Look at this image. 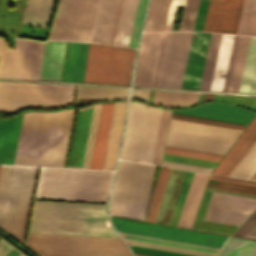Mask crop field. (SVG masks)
I'll return each mask as SVG.
<instances>
[{
    "mask_svg": "<svg viewBox=\"0 0 256 256\" xmlns=\"http://www.w3.org/2000/svg\"><path fill=\"white\" fill-rule=\"evenodd\" d=\"M73 111L25 113L14 164L63 167Z\"/></svg>",
    "mask_w": 256,
    "mask_h": 256,
    "instance_id": "8a807250",
    "label": "crop field"
},
{
    "mask_svg": "<svg viewBox=\"0 0 256 256\" xmlns=\"http://www.w3.org/2000/svg\"><path fill=\"white\" fill-rule=\"evenodd\" d=\"M29 232L119 237L105 205L35 201Z\"/></svg>",
    "mask_w": 256,
    "mask_h": 256,
    "instance_id": "ac0d7876",
    "label": "crop field"
},
{
    "mask_svg": "<svg viewBox=\"0 0 256 256\" xmlns=\"http://www.w3.org/2000/svg\"><path fill=\"white\" fill-rule=\"evenodd\" d=\"M112 175L111 172L44 168L36 198L106 202Z\"/></svg>",
    "mask_w": 256,
    "mask_h": 256,
    "instance_id": "34b2d1b8",
    "label": "crop field"
},
{
    "mask_svg": "<svg viewBox=\"0 0 256 256\" xmlns=\"http://www.w3.org/2000/svg\"><path fill=\"white\" fill-rule=\"evenodd\" d=\"M36 173V168L11 166H3L2 168L0 178V226L22 242Z\"/></svg>",
    "mask_w": 256,
    "mask_h": 256,
    "instance_id": "412701ff",
    "label": "crop field"
},
{
    "mask_svg": "<svg viewBox=\"0 0 256 256\" xmlns=\"http://www.w3.org/2000/svg\"><path fill=\"white\" fill-rule=\"evenodd\" d=\"M156 166L120 160L110 213L144 220Z\"/></svg>",
    "mask_w": 256,
    "mask_h": 256,
    "instance_id": "f4fd0767",
    "label": "crop field"
},
{
    "mask_svg": "<svg viewBox=\"0 0 256 256\" xmlns=\"http://www.w3.org/2000/svg\"><path fill=\"white\" fill-rule=\"evenodd\" d=\"M27 243L47 255L132 256L121 238L29 233Z\"/></svg>",
    "mask_w": 256,
    "mask_h": 256,
    "instance_id": "dd49c442",
    "label": "crop field"
},
{
    "mask_svg": "<svg viewBox=\"0 0 256 256\" xmlns=\"http://www.w3.org/2000/svg\"><path fill=\"white\" fill-rule=\"evenodd\" d=\"M74 87L0 82V110L56 109L73 104Z\"/></svg>",
    "mask_w": 256,
    "mask_h": 256,
    "instance_id": "e52e79f7",
    "label": "crop field"
},
{
    "mask_svg": "<svg viewBox=\"0 0 256 256\" xmlns=\"http://www.w3.org/2000/svg\"><path fill=\"white\" fill-rule=\"evenodd\" d=\"M134 49L90 43L84 82L129 83Z\"/></svg>",
    "mask_w": 256,
    "mask_h": 256,
    "instance_id": "d8731c3e",
    "label": "crop field"
},
{
    "mask_svg": "<svg viewBox=\"0 0 256 256\" xmlns=\"http://www.w3.org/2000/svg\"><path fill=\"white\" fill-rule=\"evenodd\" d=\"M99 0H60L49 39L89 42Z\"/></svg>",
    "mask_w": 256,
    "mask_h": 256,
    "instance_id": "5a996713",
    "label": "crop field"
},
{
    "mask_svg": "<svg viewBox=\"0 0 256 256\" xmlns=\"http://www.w3.org/2000/svg\"><path fill=\"white\" fill-rule=\"evenodd\" d=\"M239 38L212 33L199 89L227 91Z\"/></svg>",
    "mask_w": 256,
    "mask_h": 256,
    "instance_id": "3316defc",
    "label": "crop field"
},
{
    "mask_svg": "<svg viewBox=\"0 0 256 256\" xmlns=\"http://www.w3.org/2000/svg\"><path fill=\"white\" fill-rule=\"evenodd\" d=\"M44 42L16 41L15 52L10 50L4 38L0 37V77L38 79Z\"/></svg>",
    "mask_w": 256,
    "mask_h": 256,
    "instance_id": "28ad6ade",
    "label": "crop field"
},
{
    "mask_svg": "<svg viewBox=\"0 0 256 256\" xmlns=\"http://www.w3.org/2000/svg\"><path fill=\"white\" fill-rule=\"evenodd\" d=\"M117 231L222 248L228 237L113 218Z\"/></svg>",
    "mask_w": 256,
    "mask_h": 256,
    "instance_id": "d1516ede",
    "label": "crop field"
},
{
    "mask_svg": "<svg viewBox=\"0 0 256 256\" xmlns=\"http://www.w3.org/2000/svg\"><path fill=\"white\" fill-rule=\"evenodd\" d=\"M192 33L169 32L156 87L180 88Z\"/></svg>",
    "mask_w": 256,
    "mask_h": 256,
    "instance_id": "22f410ed",
    "label": "crop field"
},
{
    "mask_svg": "<svg viewBox=\"0 0 256 256\" xmlns=\"http://www.w3.org/2000/svg\"><path fill=\"white\" fill-rule=\"evenodd\" d=\"M100 106L79 109L68 167L88 169Z\"/></svg>",
    "mask_w": 256,
    "mask_h": 256,
    "instance_id": "cbeb9de0",
    "label": "crop field"
},
{
    "mask_svg": "<svg viewBox=\"0 0 256 256\" xmlns=\"http://www.w3.org/2000/svg\"><path fill=\"white\" fill-rule=\"evenodd\" d=\"M168 32L144 33L134 84L155 87Z\"/></svg>",
    "mask_w": 256,
    "mask_h": 256,
    "instance_id": "5142ce71",
    "label": "crop field"
},
{
    "mask_svg": "<svg viewBox=\"0 0 256 256\" xmlns=\"http://www.w3.org/2000/svg\"><path fill=\"white\" fill-rule=\"evenodd\" d=\"M256 207V200L212 193L204 218L239 225Z\"/></svg>",
    "mask_w": 256,
    "mask_h": 256,
    "instance_id": "d9b57169",
    "label": "crop field"
},
{
    "mask_svg": "<svg viewBox=\"0 0 256 256\" xmlns=\"http://www.w3.org/2000/svg\"><path fill=\"white\" fill-rule=\"evenodd\" d=\"M149 106L131 102L120 158L138 161Z\"/></svg>",
    "mask_w": 256,
    "mask_h": 256,
    "instance_id": "733c2abd",
    "label": "crop field"
},
{
    "mask_svg": "<svg viewBox=\"0 0 256 256\" xmlns=\"http://www.w3.org/2000/svg\"><path fill=\"white\" fill-rule=\"evenodd\" d=\"M210 35L194 31L181 88L198 89Z\"/></svg>",
    "mask_w": 256,
    "mask_h": 256,
    "instance_id": "4a817a6b",
    "label": "crop field"
},
{
    "mask_svg": "<svg viewBox=\"0 0 256 256\" xmlns=\"http://www.w3.org/2000/svg\"><path fill=\"white\" fill-rule=\"evenodd\" d=\"M233 142L232 140L169 130L167 145L224 155Z\"/></svg>",
    "mask_w": 256,
    "mask_h": 256,
    "instance_id": "bc2a9ffb",
    "label": "crop field"
},
{
    "mask_svg": "<svg viewBox=\"0 0 256 256\" xmlns=\"http://www.w3.org/2000/svg\"><path fill=\"white\" fill-rule=\"evenodd\" d=\"M121 236L126 240L128 244L156 248V249H163L181 253H188L200 256H217L220 249L176 242V241H169L127 233H121ZM183 248V249H181Z\"/></svg>",
    "mask_w": 256,
    "mask_h": 256,
    "instance_id": "214f88e0",
    "label": "crop field"
},
{
    "mask_svg": "<svg viewBox=\"0 0 256 256\" xmlns=\"http://www.w3.org/2000/svg\"><path fill=\"white\" fill-rule=\"evenodd\" d=\"M173 112L245 125H248L255 115V112L220 103H208L193 109Z\"/></svg>",
    "mask_w": 256,
    "mask_h": 256,
    "instance_id": "92a150f3",
    "label": "crop field"
},
{
    "mask_svg": "<svg viewBox=\"0 0 256 256\" xmlns=\"http://www.w3.org/2000/svg\"><path fill=\"white\" fill-rule=\"evenodd\" d=\"M209 176L208 174L194 173L177 226L193 227Z\"/></svg>",
    "mask_w": 256,
    "mask_h": 256,
    "instance_id": "dafd665d",
    "label": "crop field"
},
{
    "mask_svg": "<svg viewBox=\"0 0 256 256\" xmlns=\"http://www.w3.org/2000/svg\"><path fill=\"white\" fill-rule=\"evenodd\" d=\"M170 0H151L145 31H163ZM185 0H171L164 31L171 30L176 6H184Z\"/></svg>",
    "mask_w": 256,
    "mask_h": 256,
    "instance_id": "00972430",
    "label": "crop field"
},
{
    "mask_svg": "<svg viewBox=\"0 0 256 256\" xmlns=\"http://www.w3.org/2000/svg\"><path fill=\"white\" fill-rule=\"evenodd\" d=\"M127 104L115 103L102 169L114 168Z\"/></svg>",
    "mask_w": 256,
    "mask_h": 256,
    "instance_id": "a9b5d70f",
    "label": "crop field"
},
{
    "mask_svg": "<svg viewBox=\"0 0 256 256\" xmlns=\"http://www.w3.org/2000/svg\"><path fill=\"white\" fill-rule=\"evenodd\" d=\"M22 117L10 121L0 120V163L14 162Z\"/></svg>",
    "mask_w": 256,
    "mask_h": 256,
    "instance_id": "4177f3b9",
    "label": "crop field"
},
{
    "mask_svg": "<svg viewBox=\"0 0 256 256\" xmlns=\"http://www.w3.org/2000/svg\"><path fill=\"white\" fill-rule=\"evenodd\" d=\"M114 103L101 106L89 169H101Z\"/></svg>",
    "mask_w": 256,
    "mask_h": 256,
    "instance_id": "730fd06b",
    "label": "crop field"
},
{
    "mask_svg": "<svg viewBox=\"0 0 256 256\" xmlns=\"http://www.w3.org/2000/svg\"><path fill=\"white\" fill-rule=\"evenodd\" d=\"M118 0H100L90 42L108 44Z\"/></svg>",
    "mask_w": 256,
    "mask_h": 256,
    "instance_id": "eef30255",
    "label": "crop field"
},
{
    "mask_svg": "<svg viewBox=\"0 0 256 256\" xmlns=\"http://www.w3.org/2000/svg\"><path fill=\"white\" fill-rule=\"evenodd\" d=\"M66 42H45L39 79L59 80Z\"/></svg>",
    "mask_w": 256,
    "mask_h": 256,
    "instance_id": "ae1a2a85",
    "label": "crop field"
},
{
    "mask_svg": "<svg viewBox=\"0 0 256 256\" xmlns=\"http://www.w3.org/2000/svg\"><path fill=\"white\" fill-rule=\"evenodd\" d=\"M244 0H220L213 32H237Z\"/></svg>",
    "mask_w": 256,
    "mask_h": 256,
    "instance_id": "d3111659",
    "label": "crop field"
},
{
    "mask_svg": "<svg viewBox=\"0 0 256 256\" xmlns=\"http://www.w3.org/2000/svg\"><path fill=\"white\" fill-rule=\"evenodd\" d=\"M169 129L226 138V139H232V140H236L237 137L242 132L240 130H234V129L174 120V119H171Z\"/></svg>",
    "mask_w": 256,
    "mask_h": 256,
    "instance_id": "750c4746",
    "label": "crop field"
},
{
    "mask_svg": "<svg viewBox=\"0 0 256 256\" xmlns=\"http://www.w3.org/2000/svg\"><path fill=\"white\" fill-rule=\"evenodd\" d=\"M54 3L55 0H29L22 22L47 28Z\"/></svg>",
    "mask_w": 256,
    "mask_h": 256,
    "instance_id": "bd1437ed",
    "label": "crop field"
},
{
    "mask_svg": "<svg viewBox=\"0 0 256 256\" xmlns=\"http://www.w3.org/2000/svg\"><path fill=\"white\" fill-rule=\"evenodd\" d=\"M160 109L151 107L149 108L145 134L140 154L139 161L149 163L152 162V156L154 151V145L156 140V134L158 129V123L160 118Z\"/></svg>",
    "mask_w": 256,
    "mask_h": 256,
    "instance_id": "1d83c4d3",
    "label": "crop field"
},
{
    "mask_svg": "<svg viewBox=\"0 0 256 256\" xmlns=\"http://www.w3.org/2000/svg\"><path fill=\"white\" fill-rule=\"evenodd\" d=\"M138 0H124L113 45L127 47Z\"/></svg>",
    "mask_w": 256,
    "mask_h": 256,
    "instance_id": "120bbe31",
    "label": "crop field"
},
{
    "mask_svg": "<svg viewBox=\"0 0 256 256\" xmlns=\"http://www.w3.org/2000/svg\"><path fill=\"white\" fill-rule=\"evenodd\" d=\"M238 92L256 93V37H251Z\"/></svg>",
    "mask_w": 256,
    "mask_h": 256,
    "instance_id": "d32e631a",
    "label": "crop field"
},
{
    "mask_svg": "<svg viewBox=\"0 0 256 256\" xmlns=\"http://www.w3.org/2000/svg\"><path fill=\"white\" fill-rule=\"evenodd\" d=\"M256 141V124L247 134V136L243 139L240 145L236 148V150L232 153L229 159L225 162V164L221 167L217 174L229 176L233 169L237 166L240 160L244 157L250 147Z\"/></svg>",
    "mask_w": 256,
    "mask_h": 256,
    "instance_id": "5866460e",
    "label": "crop field"
},
{
    "mask_svg": "<svg viewBox=\"0 0 256 256\" xmlns=\"http://www.w3.org/2000/svg\"><path fill=\"white\" fill-rule=\"evenodd\" d=\"M171 170L172 169L170 168H164V167L161 168L158 180L156 182V185L152 194L146 221H150V222L155 221Z\"/></svg>",
    "mask_w": 256,
    "mask_h": 256,
    "instance_id": "028f5c9d",
    "label": "crop field"
},
{
    "mask_svg": "<svg viewBox=\"0 0 256 256\" xmlns=\"http://www.w3.org/2000/svg\"><path fill=\"white\" fill-rule=\"evenodd\" d=\"M220 256H256V241L230 237Z\"/></svg>",
    "mask_w": 256,
    "mask_h": 256,
    "instance_id": "e1f06a70",
    "label": "crop field"
},
{
    "mask_svg": "<svg viewBox=\"0 0 256 256\" xmlns=\"http://www.w3.org/2000/svg\"><path fill=\"white\" fill-rule=\"evenodd\" d=\"M128 92L127 89L79 87L77 97L125 100Z\"/></svg>",
    "mask_w": 256,
    "mask_h": 256,
    "instance_id": "0bd39190",
    "label": "crop field"
},
{
    "mask_svg": "<svg viewBox=\"0 0 256 256\" xmlns=\"http://www.w3.org/2000/svg\"><path fill=\"white\" fill-rule=\"evenodd\" d=\"M237 34L256 35V0H245Z\"/></svg>",
    "mask_w": 256,
    "mask_h": 256,
    "instance_id": "b80d0937",
    "label": "crop field"
},
{
    "mask_svg": "<svg viewBox=\"0 0 256 256\" xmlns=\"http://www.w3.org/2000/svg\"><path fill=\"white\" fill-rule=\"evenodd\" d=\"M250 37L241 36L228 91L237 92Z\"/></svg>",
    "mask_w": 256,
    "mask_h": 256,
    "instance_id": "c035e120",
    "label": "crop field"
},
{
    "mask_svg": "<svg viewBox=\"0 0 256 256\" xmlns=\"http://www.w3.org/2000/svg\"><path fill=\"white\" fill-rule=\"evenodd\" d=\"M170 110H162L152 164L161 165L165 146Z\"/></svg>",
    "mask_w": 256,
    "mask_h": 256,
    "instance_id": "c21b1889",
    "label": "crop field"
},
{
    "mask_svg": "<svg viewBox=\"0 0 256 256\" xmlns=\"http://www.w3.org/2000/svg\"><path fill=\"white\" fill-rule=\"evenodd\" d=\"M256 166V142L230 176L246 179Z\"/></svg>",
    "mask_w": 256,
    "mask_h": 256,
    "instance_id": "03da06ac",
    "label": "crop field"
},
{
    "mask_svg": "<svg viewBox=\"0 0 256 256\" xmlns=\"http://www.w3.org/2000/svg\"><path fill=\"white\" fill-rule=\"evenodd\" d=\"M208 188L256 195V186L232 183V182H225L219 180L210 179L207 185Z\"/></svg>",
    "mask_w": 256,
    "mask_h": 256,
    "instance_id": "b54c1fbb",
    "label": "crop field"
},
{
    "mask_svg": "<svg viewBox=\"0 0 256 256\" xmlns=\"http://www.w3.org/2000/svg\"><path fill=\"white\" fill-rule=\"evenodd\" d=\"M89 43H79L72 81L83 82Z\"/></svg>",
    "mask_w": 256,
    "mask_h": 256,
    "instance_id": "5d738f31",
    "label": "crop field"
},
{
    "mask_svg": "<svg viewBox=\"0 0 256 256\" xmlns=\"http://www.w3.org/2000/svg\"><path fill=\"white\" fill-rule=\"evenodd\" d=\"M193 173L194 172H190V171L186 172V175H185V178H184V181H183V184H182V187H181V190H180L170 223H169L171 225H175V226L177 225V222H178V219H179V216H180V213H181L184 201H185V197H186Z\"/></svg>",
    "mask_w": 256,
    "mask_h": 256,
    "instance_id": "d23c7cc5",
    "label": "crop field"
},
{
    "mask_svg": "<svg viewBox=\"0 0 256 256\" xmlns=\"http://www.w3.org/2000/svg\"><path fill=\"white\" fill-rule=\"evenodd\" d=\"M200 0H187L180 30H193Z\"/></svg>",
    "mask_w": 256,
    "mask_h": 256,
    "instance_id": "425ffa30",
    "label": "crop field"
},
{
    "mask_svg": "<svg viewBox=\"0 0 256 256\" xmlns=\"http://www.w3.org/2000/svg\"><path fill=\"white\" fill-rule=\"evenodd\" d=\"M181 93L155 91L153 105L178 108Z\"/></svg>",
    "mask_w": 256,
    "mask_h": 256,
    "instance_id": "25e5ab78",
    "label": "crop field"
},
{
    "mask_svg": "<svg viewBox=\"0 0 256 256\" xmlns=\"http://www.w3.org/2000/svg\"><path fill=\"white\" fill-rule=\"evenodd\" d=\"M147 0H139L128 47H136Z\"/></svg>",
    "mask_w": 256,
    "mask_h": 256,
    "instance_id": "73cf0c24",
    "label": "crop field"
},
{
    "mask_svg": "<svg viewBox=\"0 0 256 256\" xmlns=\"http://www.w3.org/2000/svg\"><path fill=\"white\" fill-rule=\"evenodd\" d=\"M171 118L192 121V122H198V123H204V124H210V125H216V126H222V127H228V128H234V129H240V130H244L246 127L245 125L227 123V122H222V121L198 118V117L175 114V113L172 114Z\"/></svg>",
    "mask_w": 256,
    "mask_h": 256,
    "instance_id": "89e229c0",
    "label": "crop field"
},
{
    "mask_svg": "<svg viewBox=\"0 0 256 256\" xmlns=\"http://www.w3.org/2000/svg\"><path fill=\"white\" fill-rule=\"evenodd\" d=\"M165 152L186 155V156H192V157H198V158H204V159H210V160H216V161H219L220 158L222 157L221 155L197 152V151L168 147V146H166Z\"/></svg>",
    "mask_w": 256,
    "mask_h": 256,
    "instance_id": "1f2cbd36",
    "label": "crop field"
},
{
    "mask_svg": "<svg viewBox=\"0 0 256 256\" xmlns=\"http://www.w3.org/2000/svg\"><path fill=\"white\" fill-rule=\"evenodd\" d=\"M219 0H210L203 31L212 32Z\"/></svg>",
    "mask_w": 256,
    "mask_h": 256,
    "instance_id": "dbb93151",
    "label": "crop field"
},
{
    "mask_svg": "<svg viewBox=\"0 0 256 256\" xmlns=\"http://www.w3.org/2000/svg\"><path fill=\"white\" fill-rule=\"evenodd\" d=\"M256 123V116L251 121V123L247 126V128L243 131V133L239 136L237 139L238 141L236 144L231 148V150L227 153V155L222 159V161L218 164V166L213 170V174H216L217 171L220 169V167L224 164V162L228 159V157L231 155V153L235 150V148L238 146V144L242 141V139L246 136V134L249 132V130L253 127V125Z\"/></svg>",
    "mask_w": 256,
    "mask_h": 256,
    "instance_id": "0fb4a251",
    "label": "crop field"
},
{
    "mask_svg": "<svg viewBox=\"0 0 256 256\" xmlns=\"http://www.w3.org/2000/svg\"><path fill=\"white\" fill-rule=\"evenodd\" d=\"M163 166L209 173L212 169L164 161Z\"/></svg>",
    "mask_w": 256,
    "mask_h": 256,
    "instance_id": "1d79db26",
    "label": "crop field"
},
{
    "mask_svg": "<svg viewBox=\"0 0 256 256\" xmlns=\"http://www.w3.org/2000/svg\"><path fill=\"white\" fill-rule=\"evenodd\" d=\"M255 222L256 210L249 216V218L238 228V230L233 235L242 237Z\"/></svg>",
    "mask_w": 256,
    "mask_h": 256,
    "instance_id": "9d1cf04e",
    "label": "crop field"
},
{
    "mask_svg": "<svg viewBox=\"0 0 256 256\" xmlns=\"http://www.w3.org/2000/svg\"><path fill=\"white\" fill-rule=\"evenodd\" d=\"M198 96L199 94L182 93L180 106L197 102Z\"/></svg>",
    "mask_w": 256,
    "mask_h": 256,
    "instance_id": "447ae74e",
    "label": "crop field"
},
{
    "mask_svg": "<svg viewBox=\"0 0 256 256\" xmlns=\"http://www.w3.org/2000/svg\"><path fill=\"white\" fill-rule=\"evenodd\" d=\"M78 43L73 42L67 81H71Z\"/></svg>",
    "mask_w": 256,
    "mask_h": 256,
    "instance_id": "0765c3eb",
    "label": "crop field"
},
{
    "mask_svg": "<svg viewBox=\"0 0 256 256\" xmlns=\"http://www.w3.org/2000/svg\"><path fill=\"white\" fill-rule=\"evenodd\" d=\"M148 91L133 90L131 99H139L146 102Z\"/></svg>",
    "mask_w": 256,
    "mask_h": 256,
    "instance_id": "db79e9e6",
    "label": "crop field"
},
{
    "mask_svg": "<svg viewBox=\"0 0 256 256\" xmlns=\"http://www.w3.org/2000/svg\"><path fill=\"white\" fill-rule=\"evenodd\" d=\"M210 178L219 179V180H225V181L238 182V183H244V184H250V185H256V182H252V181L239 180V179H233V178H226V177H220V176H214V175H211Z\"/></svg>",
    "mask_w": 256,
    "mask_h": 256,
    "instance_id": "7b73153f",
    "label": "crop field"
},
{
    "mask_svg": "<svg viewBox=\"0 0 256 256\" xmlns=\"http://www.w3.org/2000/svg\"><path fill=\"white\" fill-rule=\"evenodd\" d=\"M122 1L123 0H119L118 9H117V13H116L115 21H114V26H113V30H112V34H111V38H110V42H109V44H111V45L113 43V39H114L116 27H117V22H118L120 10H121Z\"/></svg>",
    "mask_w": 256,
    "mask_h": 256,
    "instance_id": "78b8030e",
    "label": "crop field"
},
{
    "mask_svg": "<svg viewBox=\"0 0 256 256\" xmlns=\"http://www.w3.org/2000/svg\"><path fill=\"white\" fill-rule=\"evenodd\" d=\"M13 248L0 240V256H6Z\"/></svg>",
    "mask_w": 256,
    "mask_h": 256,
    "instance_id": "0f1d7ab4",
    "label": "crop field"
},
{
    "mask_svg": "<svg viewBox=\"0 0 256 256\" xmlns=\"http://www.w3.org/2000/svg\"><path fill=\"white\" fill-rule=\"evenodd\" d=\"M244 238L254 239L256 237V223L243 236Z\"/></svg>",
    "mask_w": 256,
    "mask_h": 256,
    "instance_id": "e1d0b9f6",
    "label": "crop field"
},
{
    "mask_svg": "<svg viewBox=\"0 0 256 256\" xmlns=\"http://www.w3.org/2000/svg\"><path fill=\"white\" fill-rule=\"evenodd\" d=\"M212 97H213V95L205 94L203 102L212 100Z\"/></svg>",
    "mask_w": 256,
    "mask_h": 256,
    "instance_id": "ae633e8c",
    "label": "crop field"
},
{
    "mask_svg": "<svg viewBox=\"0 0 256 256\" xmlns=\"http://www.w3.org/2000/svg\"><path fill=\"white\" fill-rule=\"evenodd\" d=\"M19 254L20 253L13 249L7 256H18Z\"/></svg>",
    "mask_w": 256,
    "mask_h": 256,
    "instance_id": "d14b1444",
    "label": "crop field"
},
{
    "mask_svg": "<svg viewBox=\"0 0 256 256\" xmlns=\"http://www.w3.org/2000/svg\"><path fill=\"white\" fill-rule=\"evenodd\" d=\"M256 172V167L254 168V170L251 172V174L248 176V180L251 179V177L254 175V173Z\"/></svg>",
    "mask_w": 256,
    "mask_h": 256,
    "instance_id": "c39391a2",
    "label": "crop field"
},
{
    "mask_svg": "<svg viewBox=\"0 0 256 256\" xmlns=\"http://www.w3.org/2000/svg\"><path fill=\"white\" fill-rule=\"evenodd\" d=\"M136 256H149V255H143V254H137L135 253Z\"/></svg>",
    "mask_w": 256,
    "mask_h": 256,
    "instance_id": "ade564c9",
    "label": "crop field"
},
{
    "mask_svg": "<svg viewBox=\"0 0 256 256\" xmlns=\"http://www.w3.org/2000/svg\"><path fill=\"white\" fill-rule=\"evenodd\" d=\"M251 180L256 181V174L252 177Z\"/></svg>",
    "mask_w": 256,
    "mask_h": 256,
    "instance_id": "c5b07064",
    "label": "crop field"
},
{
    "mask_svg": "<svg viewBox=\"0 0 256 256\" xmlns=\"http://www.w3.org/2000/svg\"><path fill=\"white\" fill-rule=\"evenodd\" d=\"M1 168H2V166H0V173H1Z\"/></svg>",
    "mask_w": 256,
    "mask_h": 256,
    "instance_id": "c3a83c6f",
    "label": "crop field"
},
{
    "mask_svg": "<svg viewBox=\"0 0 256 256\" xmlns=\"http://www.w3.org/2000/svg\"><path fill=\"white\" fill-rule=\"evenodd\" d=\"M42 256H47V255H42Z\"/></svg>",
    "mask_w": 256,
    "mask_h": 256,
    "instance_id": "fb207236",
    "label": "crop field"
},
{
    "mask_svg": "<svg viewBox=\"0 0 256 256\" xmlns=\"http://www.w3.org/2000/svg\"><path fill=\"white\" fill-rule=\"evenodd\" d=\"M19 256H22L21 254Z\"/></svg>",
    "mask_w": 256,
    "mask_h": 256,
    "instance_id": "7312dd0a",
    "label": "crop field"
}]
</instances>
